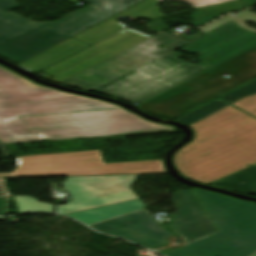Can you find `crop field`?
Returning <instances> with one entry per match:
<instances>
[{
    "instance_id": "crop-field-1",
    "label": "crop field",
    "mask_w": 256,
    "mask_h": 256,
    "mask_svg": "<svg viewBox=\"0 0 256 256\" xmlns=\"http://www.w3.org/2000/svg\"><path fill=\"white\" fill-rule=\"evenodd\" d=\"M174 129L144 120L114 104L36 85L7 69L0 73V141L3 143Z\"/></svg>"
},
{
    "instance_id": "crop-field-2",
    "label": "crop field",
    "mask_w": 256,
    "mask_h": 256,
    "mask_svg": "<svg viewBox=\"0 0 256 256\" xmlns=\"http://www.w3.org/2000/svg\"><path fill=\"white\" fill-rule=\"evenodd\" d=\"M232 105L256 116V94ZM189 126L193 139L173 155L181 175L208 184L256 164V119L250 115L228 106Z\"/></svg>"
},
{
    "instance_id": "crop-field-3",
    "label": "crop field",
    "mask_w": 256,
    "mask_h": 256,
    "mask_svg": "<svg viewBox=\"0 0 256 256\" xmlns=\"http://www.w3.org/2000/svg\"><path fill=\"white\" fill-rule=\"evenodd\" d=\"M256 45V33L230 22L181 47L203 63L180 60L175 51L95 92L127 103H142Z\"/></svg>"
},
{
    "instance_id": "crop-field-4",
    "label": "crop field",
    "mask_w": 256,
    "mask_h": 256,
    "mask_svg": "<svg viewBox=\"0 0 256 256\" xmlns=\"http://www.w3.org/2000/svg\"><path fill=\"white\" fill-rule=\"evenodd\" d=\"M83 1L91 6L51 23H38L9 12L18 7L14 0H0V56L18 65L141 0Z\"/></svg>"
},
{
    "instance_id": "crop-field-5",
    "label": "crop field",
    "mask_w": 256,
    "mask_h": 256,
    "mask_svg": "<svg viewBox=\"0 0 256 256\" xmlns=\"http://www.w3.org/2000/svg\"><path fill=\"white\" fill-rule=\"evenodd\" d=\"M193 190L221 232L165 256H250L256 252V204Z\"/></svg>"
},
{
    "instance_id": "crop-field-6",
    "label": "crop field",
    "mask_w": 256,
    "mask_h": 256,
    "mask_svg": "<svg viewBox=\"0 0 256 256\" xmlns=\"http://www.w3.org/2000/svg\"><path fill=\"white\" fill-rule=\"evenodd\" d=\"M230 75L226 80L221 75ZM256 77V47L138 105L153 115L175 119Z\"/></svg>"
},
{
    "instance_id": "crop-field-7",
    "label": "crop field",
    "mask_w": 256,
    "mask_h": 256,
    "mask_svg": "<svg viewBox=\"0 0 256 256\" xmlns=\"http://www.w3.org/2000/svg\"><path fill=\"white\" fill-rule=\"evenodd\" d=\"M18 166L0 178L38 176H104L166 173L161 160L104 164L99 150L17 157Z\"/></svg>"
},
{
    "instance_id": "crop-field-8",
    "label": "crop field",
    "mask_w": 256,
    "mask_h": 256,
    "mask_svg": "<svg viewBox=\"0 0 256 256\" xmlns=\"http://www.w3.org/2000/svg\"><path fill=\"white\" fill-rule=\"evenodd\" d=\"M186 43L188 42L162 32L157 37L131 47L59 84L91 92ZM157 44L168 47L159 50L155 48Z\"/></svg>"
},
{
    "instance_id": "crop-field-9",
    "label": "crop field",
    "mask_w": 256,
    "mask_h": 256,
    "mask_svg": "<svg viewBox=\"0 0 256 256\" xmlns=\"http://www.w3.org/2000/svg\"><path fill=\"white\" fill-rule=\"evenodd\" d=\"M138 175L105 177H69L63 184L71 201L58 206V213H68L138 197L129 190Z\"/></svg>"
},
{
    "instance_id": "crop-field-10",
    "label": "crop field",
    "mask_w": 256,
    "mask_h": 256,
    "mask_svg": "<svg viewBox=\"0 0 256 256\" xmlns=\"http://www.w3.org/2000/svg\"><path fill=\"white\" fill-rule=\"evenodd\" d=\"M147 37L149 36L132 29L124 30L43 72L54 77L51 80L60 81Z\"/></svg>"
},
{
    "instance_id": "crop-field-11",
    "label": "crop field",
    "mask_w": 256,
    "mask_h": 256,
    "mask_svg": "<svg viewBox=\"0 0 256 256\" xmlns=\"http://www.w3.org/2000/svg\"><path fill=\"white\" fill-rule=\"evenodd\" d=\"M98 232L124 238L148 249L166 243L172 234L160 229L146 212L140 211L91 226Z\"/></svg>"
},
{
    "instance_id": "crop-field-12",
    "label": "crop field",
    "mask_w": 256,
    "mask_h": 256,
    "mask_svg": "<svg viewBox=\"0 0 256 256\" xmlns=\"http://www.w3.org/2000/svg\"><path fill=\"white\" fill-rule=\"evenodd\" d=\"M172 203L177 207L176 222L169 225L187 242L217 232L192 190L176 192Z\"/></svg>"
},
{
    "instance_id": "crop-field-13",
    "label": "crop field",
    "mask_w": 256,
    "mask_h": 256,
    "mask_svg": "<svg viewBox=\"0 0 256 256\" xmlns=\"http://www.w3.org/2000/svg\"><path fill=\"white\" fill-rule=\"evenodd\" d=\"M158 2L156 0H146L120 14H117L75 36L74 38L94 45L122 30L125 26L114 20L119 17L128 19H150L164 15L159 12Z\"/></svg>"
},
{
    "instance_id": "crop-field-14",
    "label": "crop field",
    "mask_w": 256,
    "mask_h": 256,
    "mask_svg": "<svg viewBox=\"0 0 256 256\" xmlns=\"http://www.w3.org/2000/svg\"><path fill=\"white\" fill-rule=\"evenodd\" d=\"M88 46L90 45L70 38L18 66L35 73Z\"/></svg>"
},
{
    "instance_id": "crop-field-15",
    "label": "crop field",
    "mask_w": 256,
    "mask_h": 256,
    "mask_svg": "<svg viewBox=\"0 0 256 256\" xmlns=\"http://www.w3.org/2000/svg\"><path fill=\"white\" fill-rule=\"evenodd\" d=\"M143 203L140 199L133 200L126 203L116 204L112 206L91 209L86 211L70 213L67 216L74 218L86 225L102 221L111 217L119 216L134 210L141 209Z\"/></svg>"
},
{
    "instance_id": "crop-field-16",
    "label": "crop field",
    "mask_w": 256,
    "mask_h": 256,
    "mask_svg": "<svg viewBox=\"0 0 256 256\" xmlns=\"http://www.w3.org/2000/svg\"><path fill=\"white\" fill-rule=\"evenodd\" d=\"M211 186L250 195L256 191V165L224 178Z\"/></svg>"
},
{
    "instance_id": "crop-field-17",
    "label": "crop field",
    "mask_w": 256,
    "mask_h": 256,
    "mask_svg": "<svg viewBox=\"0 0 256 256\" xmlns=\"http://www.w3.org/2000/svg\"><path fill=\"white\" fill-rule=\"evenodd\" d=\"M235 15H237V16H235L233 18H231L229 16L221 17V18L201 27L199 30L205 34V33L210 32L229 21H232L245 30L256 32V30L244 25V23H246L248 21L256 24V16L255 15H253L247 11L235 13Z\"/></svg>"
},
{
    "instance_id": "crop-field-18",
    "label": "crop field",
    "mask_w": 256,
    "mask_h": 256,
    "mask_svg": "<svg viewBox=\"0 0 256 256\" xmlns=\"http://www.w3.org/2000/svg\"><path fill=\"white\" fill-rule=\"evenodd\" d=\"M14 199L19 213H53V205L36 202L31 197L16 196Z\"/></svg>"
},
{
    "instance_id": "crop-field-19",
    "label": "crop field",
    "mask_w": 256,
    "mask_h": 256,
    "mask_svg": "<svg viewBox=\"0 0 256 256\" xmlns=\"http://www.w3.org/2000/svg\"><path fill=\"white\" fill-rule=\"evenodd\" d=\"M228 106L227 104H225L224 102L220 101V100H215L214 102L176 120L178 122H181L183 124L189 125L213 112H216L224 107Z\"/></svg>"
},
{
    "instance_id": "crop-field-20",
    "label": "crop field",
    "mask_w": 256,
    "mask_h": 256,
    "mask_svg": "<svg viewBox=\"0 0 256 256\" xmlns=\"http://www.w3.org/2000/svg\"><path fill=\"white\" fill-rule=\"evenodd\" d=\"M256 93V80L234 90L233 92L219 98L229 104L246 97L248 95H252Z\"/></svg>"
},
{
    "instance_id": "crop-field-21",
    "label": "crop field",
    "mask_w": 256,
    "mask_h": 256,
    "mask_svg": "<svg viewBox=\"0 0 256 256\" xmlns=\"http://www.w3.org/2000/svg\"><path fill=\"white\" fill-rule=\"evenodd\" d=\"M158 2L161 0H157ZM189 3L194 8H200L204 6L214 5L232 0H180Z\"/></svg>"
},
{
    "instance_id": "crop-field-22",
    "label": "crop field",
    "mask_w": 256,
    "mask_h": 256,
    "mask_svg": "<svg viewBox=\"0 0 256 256\" xmlns=\"http://www.w3.org/2000/svg\"><path fill=\"white\" fill-rule=\"evenodd\" d=\"M0 216H3V199H0Z\"/></svg>"
},
{
    "instance_id": "crop-field-23",
    "label": "crop field",
    "mask_w": 256,
    "mask_h": 256,
    "mask_svg": "<svg viewBox=\"0 0 256 256\" xmlns=\"http://www.w3.org/2000/svg\"><path fill=\"white\" fill-rule=\"evenodd\" d=\"M3 70H5V68L0 66V72H2Z\"/></svg>"
},
{
    "instance_id": "crop-field-24",
    "label": "crop field",
    "mask_w": 256,
    "mask_h": 256,
    "mask_svg": "<svg viewBox=\"0 0 256 256\" xmlns=\"http://www.w3.org/2000/svg\"><path fill=\"white\" fill-rule=\"evenodd\" d=\"M252 195H256V192H255V193H253Z\"/></svg>"
},
{
    "instance_id": "crop-field-25",
    "label": "crop field",
    "mask_w": 256,
    "mask_h": 256,
    "mask_svg": "<svg viewBox=\"0 0 256 256\" xmlns=\"http://www.w3.org/2000/svg\"><path fill=\"white\" fill-rule=\"evenodd\" d=\"M256 256V255H255Z\"/></svg>"
}]
</instances>
